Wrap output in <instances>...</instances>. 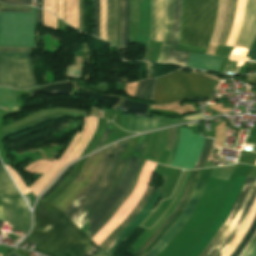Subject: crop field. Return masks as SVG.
<instances>
[{
	"mask_svg": "<svg viewBox=\"0 0 256 256\" xmlns=\"http://www.w3.org/2000/svg\"><path fill=\"white\" fill-rule=\"evenodd\" d=\"M218 0H183L178 44L207 49L216 22Z\"/></svg>",
	"mask_w": 256,
	"mask_h": 256,
	"instance_id": "1",
	"label": "crop field"
},
{
	"mask_svg": "<svg viewBox=\"0 0 256 256\" xmlns=\"http://www.w3.org/2000/svg\"><path fill=\"white\" fill-rule=\"evenodd\" d=\"M93 244L95 243L61 212L54 227L34 251L46 256H82Z\"/></svg>",
	"mask_w": 256,
	"mask_h": 256,
	"instance_id": "2",
	"label": "crop field"
},
{
	"mask_svg": "<svg viewBox=\"0 0 256 256\" xmlns=\"http://www.w3.org/2000/svg\"><path fill=\"white\" fill-rule=\"evenodd\" d=\"M215 83L181 69L158 78L154 103L169 104L189 97L211 96Z\"/></svg>",
	"mask_w": 256,
	"mask_h": 256,
	"instance_id": "3",
	"label": "crop field"
},
{
	"mask_svg": "<svg viewBox=\"0 0 256 256\" xmlns=\"http://www.w3.org/2000/svg\"><path fill=\"white\" fill-rule=\"evenodd\" d=\"M256 198V177H247L225 224L200 256H220L236 235Z\"/></svg>",
	"mask_w": 256,
	"mask_h": 256,
	"instance_id": "4",
	"label": "crop field"
},
{
	"mask_svg": "<svg viewBox=\"0 0 256 256\" xmlns=\"http://www.w3.org/2000/svg\"><path fill=\"white\" fill-rule=\"evenodd\" d=\"M128 142L129 140L120 144L116 143L109 147L91 183L63 212L73 222L76 221L81 213L106 186L115 163ZM103 181H106V183H104L103 186H100Z\"/></svg>",
	"mask_w": 256,
	"mask_h": 256,
	"instance_id": "5",
	"label": "crop field"
},
{
	"mask_svg": "<svg viewBox=\"0 0 256 256\" xmlns=\"http://www.w3.org/2000/svg\"><path fill=\"white\" fill-rule=\"evenodd\" d=\"M35 8L31 13L0 12V46L37 48L34 30Z\"/></svg>",
	"mask_w": 256,
	"mask_h": 256,
	"instance_id": "6",
	"label": "crop field"
},
{
	"mask_svg": "<svg viewBox=\"0 0 256 256\" xmlns=\"http://www.w3.org/2000/svg\"><path fill=\"white\" fill-rule=\"evenodd\" d=\"M148 135L143 134L136 145L125 169L124 172L114 188V190L111 192V194L107 197V199L104 201V203L100 206V208L95 212V214L89 219V221L84 225V227L81 229L83 230L88 236L99 226V224L109 215V213L112 211V209L115 207V205L118 203V201L121 199L123 194L128 189L138 167L140 164L135 163L138 156L142 153L147 140Z\"/></svg>",
	"mask_w": 256,
	"mask_h": 256,
	"instance_id": "7",
	"label": "crop field"
},
{
	"mask_svg": "<svg viewBox=\"0 0 256 256\" xmlns=\"http://www.w3.org/2000/svg\"><path fill=\"white\" fill-rule=\"evenodd\" d=\"M0 85L15 89L35 86L30 53H0Z\"/></svg>",
	"mask_w": 256,
	"mask_h": 256,
	"instance_id": "8",
	"label": "crop field"
},
{
	"mask_svg": "<svg viewBox=\"0 0 256 256\" xmlns=\"http://www.w3.org/2000/svg\"><path fill=\"white\" fill-rule=\"evenodd\" d=\"M0 200L5 211V222L27 232L30 227V211L2 166H0Z\"/></svg>",
	"mask_w": 256,
	"mask_h": 256,
	"instance_id": "9",
	"label": "crop field"
},
{
	"mask_svg": "<svg viewBox=\"0 0 256 256\" xmlns=\"http://www.w3.org/2000/svg\"><path fill=\"white\" fill-rule=\"evenodd\" d=\"M107 149L88 157L78 178L51 204L60 208L62 212L65 208L85 189L95 174L98 165Z\"/></svg>",
	"mask_w": 256,
	"mask_h": 256,
	"instance_id": "10",
	"label": "crop field"
},
{
	"mask_svg": "<svg viewBox=\"0 0 256 256\" xmlns=\"http://www.w3.org/2000/svg\"><path fill=\"white\" fill-rule=\"evenodd\" d=\"M203 141V137L191 134L189 129L181 128L179 147L171 166L193 169L203 146Z\"/></svg>",
	"mask_w": 256,
	"mask_h": 256,
	"instance_id": "11",
	"label": "crop field"
},
{
	"mask_svg": "<svg viewBox=\"0 0 256 256\" xmlns=\"http://www.w3.org/2000/svg\"><path fill=\"white\" fill-rule=\"evenodd\" d=\"M60 210L53 205L38 200L34 210V227L31 234L25 238L19 245L22 246L26 242L39 244L48 231L55 224Z\"/></svg>",
	"mask_w": 256,
	"mask_h": 256,
	"instance_id": "12",
	"label": "crop field"
},
{
	"mask_svg": "<svg viewBox=\"0 0 256 256\" xmlns=\"http://www.w3.org/2000/svg\"><path fill=\"white\" fill-rule=\"evenodd\" d=\"M206 183L198 182L195 190L183 212V214L174 222V224L168 229L161 240L145 255V256H157L162 249L170 242L175 236L178 230L182 227L185 221L193 211Z\"/></svg>",
	"mask_w": 256,
	"mask_h": 256,
	"instance_id": "13",
	"label": "crop field"
},
{
	"mask_svg": "<svg viewBox=\"0 0 256 256\" xmlns=\"http://www.w3.org/2000/svg\"><path fill=\"white\" fill-rule=\"evenodd\" d=\"M156 188L155 192L145 205L142 212L115 238V240L110 244V246L105 250L109 254L113 252L120 246V244L140 225V223L147 218L150 210L155 207L158 202L162 192ZM152 211V210H151Z\"/></svg>",
	"mask_w": 256,
	"mask_h": 256,
	"instance_id": "14",
	"label": "crop field"
},
{
	"mask_svg": "<svg viewBox=\"0 0 256 256\" xmlns=\"http://www.w3.org/2000/svg\"><path fill=\"white\" fill-rule=\"evenodd\" d=\"M128 160L120 159L119 164L105 189L97 196V198L90 204V206L83 212L80 218L75 223L80 229L87 222L90 216L99 208V206L103 203L106 197L113 190L115 185L117 184L121 173L126 165Z\"/></svg>",
	"mask_w": 256,
	"mask_h": 256,
	"instance_id": "15",
	"label": "crop field"
},
{
	"mask_svg": "<svg viewBox=\"0 0 256 256\" xmlns=\"http://www.w3.org/2000/svg\"><path fill=\"white\" fill-rule=\"evenodd\" d=\"M155 187L148 186L141 200L131 214L100 244L101 249H106L114 238L141 212L144 205L152 195Z\"/></svg>",
	"mask_w": 256,
	"mask_h": 256,
	"instance_id": "16",
	"label": "crop field"
},
{
	"mask_svg": "<svg viewBox=\"0 0 256 256\" xmlns=\"http://www.w3.org/2000/svg\"><path fill=\"white\" fill-rule=\"evenodd\" d=\"M223 59L211 55L191 53L186 66L216 71Z\"/></svg>",
	"mask_w": 256,
	"mask_h": 256,
	"instance_id": "17",
	"label": "crop field"
},
{
	"mask_svg": "<svg viewBox=\"0 0 256 256\" xmlns=\"http://www.w3.org/2000/svg\"><path fill=\"white\" fill-rule=\"evenodd\" d=\"M117 0H108L107 9V41L116 46V33H117Z\"/></svg>",
	"mask_w": 256,
	"mask_h": 256,
	"instance_id": "18",
	"label": "crop field"
},
{
	"mask_svg": "<svg viewBox=\"0 0 256 256\" xmlns=\"http://www.w3.org/2000/svg\"><path fill=\"white\" fill-rule=\"evenodd\" d=\"M196 171L197 170L193 171V173H192V175H191V177H190V179H189V181L186 185V188H185V190H184V192H183V194L180 198V201H179L177 207L175 208V210L173 211V213L161 224V226L156 230V232L149 238V240L135 254V256H139L148 247V245L155 239V237L163 230V228L170 222V220L177 214V212H178V210H179V208H180V206H181V204H182V202H183V200L186 196V193H187V191H188V189H189V187H190V185L193 181V178L196 174Z\"/></svg>",
	"mask_w": 256,
	"mask_h": 256,
	"instance_id": "19",
	"label": "crop field"
},
{
	"mask_svg": "<svg viewBox=\"0 0 256 256\" xmlns=\"http://www.w3.org/2000/svg\"><path fill=\"white\" fill-rule=\"evenodd\" d=\"M173 0H165V23L163 42L170 44L172 26Z\"/></svg>",
	"mask_w": 256,
	"mask_h": 256,
	"instance_id": "20",
	"label": "crop field"
},
{
	"mask_svg": "<svg viewBox=\"0 0 256 256\" xmlns=\"http://www.w3.org/2000/svg\"><path fill=\"white\" fill-rule=\"evenodd\" d=\"M122 2L121 47L127 50V25L129 21V0Z\"/></svg>",
	"mask_w": 256,
	"mask_h": 256,
	"instance_id": "21",
	"label": "crop field"
},
{
	"mask_svg": "<svg viewBox=\"0 0 256 256\" xmlns=\"http://www.w3.org/2000/svg\"><path fill=\"white\" fill-rule=\"evenodd\" d=\"M181 1L182 0H175V3H174L173 32H172L171 45H173L175 47L177 46L179 30H180Z\"/></svg>",
	"mask_w": 256,
	"mask_h": 256,
	"instance_id": "22",
	"label": "crop field"
},
{
	"mask_svg": "<svg viewBox=\"0 0 256 256\" xmlns=\"http://www.w3.org/2000/svg\"><path fill=\"white\" fill-rule=\"evenodd\" d=\"M190 53L175 51V48L170 46L165 62L174 63L185 66Z\"/></svg>",
	"mask_w": 256,
	"mask_h": 256,
	"instance_id": "23",
	"label": "crop field"
},
{
	"mask_svg": "<svg viewBox=\"0 0 256 256\" xmlns=\"http://www.w3.org/2000/svg\"><path fill=\"white\" fill-rule=\"evenodd\" d=\"M145 163V160L142 161V164L140 166V168L138 169L136 175H135V178L130 186V188L128 189V191L125 193V195L122 197V199L119 201V203L116 205V207L113 209V211L110 213V215L101 223V225L89 236L90 238H92L105 224L106 222L113 216V214L115 213V211L118 209V207L121 205V203L125 200V198L130 194V192L132 191L139 175H140V172H141V169L143 167ZM134 190V189H133ZM132 193V192H131ZM127 199V198H126Z\"/></svg>",
	"mask_w": 256,
	"mask_h": 256,
	"instance_id": "24",
	"label": "crop field"
},
{
	"mask_svg": "<svg viewBox=\"0 0 256 256\" xmlns=\"http://www.w3.org/2000/svg\"><path fill=\"white\" fill-rule=\"evenodd\" d=\"M255 231H256V217L252 225L250 226V228L248 229V231L246 232V234L244 235V237L242 238V240L240 241V243L238 244V246L235 248V250L232 252L230 256H238L241 253V251L245 248L249 240L252 238Z\"/></svg>",
	"mask_w": 256,
	"mask_h": 256,
	"instance_id": "25",
	"label": "crop field"
},
{
	"mask_svg": "<svg viewBox=\"0 0 256 256\" xmlns=\"http://www.w3.org/2000/svg\"><path fill=\"white\" fill-rule=\"evenodd\" d=\"M15 99L13 90L0 88V106L16 108L13 103Z\"/></svg>",
	"mask_w": 256,
	"mask_h": 256,
	"instance_id": "26",
	"label": "crop field"
},
{
	"mask_svg": "<svg viewBox=\"0 0 256 256\" xmlns=\"http://www.w3.org/2000/svg\"><path fill=\"white\" fill-rule=\"evenodd\" d=\"M75 164V163H74ZM71 165L70 167L74 166ZM69 167V168H70ZM69 168H67L62 175L57 179V181L42 195L41 199L45 198L47 195H49L50 193H52L54 190L57 189V187L59 186V184L63 181V179L67 176V173L69 172Z\"/></svg>",
	"mask_w": 256,
	"mask_h": 256,
	"instance_id": "27",
	"label": "crop field"
},
{
	"mask_svg": "<svg viewBox=\"0 0 256 256\" xmlns=\"http://www.w3.org/2000/svg\"><path fill=\"white\" fill-rule=\"evenodd\" d=\"M99 18H100V10H99V0H95V20H94V35L99 37Z\"/></svg>",
	"mask_w": 256,
	"mask_h": 256,
	"instance_id": "28",
	"label": "crop field"
},
{
	"mask_svg": "<svg viewBox=\"0 0 256 256\" xmlns=\"http://www.w3.org/2000/svg\"><path fill=\"white\" fill-rule=\"evenodd\" d=\"M111 125H112V122L107 120L105 131H104L99 143L97 144V146L95 147V149L93 151L101 148V146L103 145L104 141L106 140V138L108 137V135L110 133Z\"/></svg>",
	"mask_w": 256,
	"mask_h": 256,
	"instance_id": "29",
	"label": "crop field"
},
{
	"mask_svg": "<svg viewBox=\"0 0 256 256\" xmlns=\"http://www.w3.org/2000/svg\"><path fill=\"white\" fill-rule=\"evenodd\" d=\"M0 52H31V47H0Z\"/></svg>",
	"mask_w": 256,
	"mask_h": 256,
	"instance_id": "30",
	"label": "crop field"
},
{
	"mask_svg": "<svg viewBox=\"0 0 256 256\" xmlns=\"http://www.w3.org/2000/svg\"><path fill=\"white\" fill-rule=\"evenodd\" d=\"M155 20H156V0H152V21H151V35H150V39H154Z\"/></svg>",
	"mask_w": 256,
	"mask_h": 256,
	"instance_id": "31",
	"label": "crop field"
},
{
	"mask_svg": "<svg viewBox=\"0 0 256 256\" xmlns=\"http://www.w3.org/2000/svg\"><path fill=\"white\" fill-rule=\"evenodd\" d=\"M179 137H180V127H176V136H175V142H174V146H173V150H172V153L169 157V160L167 162V165H171V162H172V159L174 157V154H175V151L178 147V143H179Z\"/></svg>",
	"mask_w": 256,
	"mask_h": 256,
	"instance_id": "32",
	"label": "crop field"
},
{
	"mask_svg": "<svg viewBox=\"0 0 256 256\" xmlns=\"http://www.w3.org/2000/svg\"><path fill=\"white\" fill-rule=\"evenodd\" d=\"M152 82H153V79H147L145 91H144L143 96L141 98L142 100H146V101L149 100L150 92H151V88H152Z\"/></svg>",
	"mask_w": 256,
	"mask_h": 256,
	"instance_id": "33",
	"label": "crop field"
},
{
	"mask_svg": "<svg viewBox=\"0 0 256 256\" xmlns=\"http://www.w3.org/2000/svg\"><path fill=\"white\" fill-rule=\"evenodd\" d=\"M256 244V233L253 236V238L251 239V241L248 243V245L246 246V248L244 249V251L241 253L240 256H248L249 253L252 251V249L254 248Z\"/></svg>",
	"mask_w": 256,
	"mask_h": 256,
	"instance_id": "34",
	"label": "crop field"
},
{
	"mask_svg": "<svg viewBox=\"0 0 256 256\" xmlns=\"http://www.w3.org/2000/svg\"><path fill=\"white\" fill-rule=\"evenodd\" d=\"M246 56L251 57L250 60L256 61V37L253 40Z\"/></svg>",
	"mask_w": 256,
	"mask_h": 256,
	"instance_id": "35",
	"label": "crop field"
},
{
	"mask_svg": "<svg viewBox=\"0 0 256 256\" xmlns=\"http://www.w3.org/2000/svg\"><path fill=\"white\" fill-rule=\"evenodd\" d=\"M175 127L169 129V139L165 149L171 150L174 142Z\"/></svg>",
	"mask_w": 256,
	"mask_h": 256,
	"instance_id": "36",
	"label": "crop field"
},
{
	"mask_svg": "<svg viewBox=\"0 0 256 256\" xmlns=\"http://www.w3.org/2000/svg\"><path fill=\"white\" fill-rule=\"evenodd\" d=\"M145 81H146V79L139 81L137 91H136V94L134 96L135 98H138V99L141 98L143 90H144V86H145Z\"/></svg>",
	"mask_w": 256,
	"mask_h": 256,
	"instance_id": "37",
	"label": "crop field"
},
{
	"mask_svg": "<svg viewBox=\"0 0 256 256\" xmlns=\"http://www.w3.org/2000/svg\"><path fill=\"white\" fill-rule=\"evenodd\" d=\"M118 4H119V18H118L117 46L120 47V20H121V3H120V0H118Z\"/></svg>",
	"mask_w": 256,
	"mask_h": 256,
	"instance_id": "38",
	"label": "crop field"
},
{
	"mask_svg": "<svg viewBox=\"0 0 256 256\" xmlns=\"http://www.w3.org/2000/svg\"><path fill=\"white\" fill-rule=\"evenodd\" d=\"M10 4H31V0H0Z\"/></svg>",
	"mask_w": 256,
	"mask_h": 256,
	"instance_id": "39",
	"label": "crop field"
},
{
	"mask_svg": "<svg viewBox=\"0 0 256 256\" xmlns=\"http://www.w3.org/2000/svg\"><path fill=\"white\" fill-rule=\"evenodd\" d=\"M168 48H169L168 45H164L163 44L162 50H161V54L159 56V60L158 61H161V62L165 61V58H166V55H167V52H168Z\"/></svg>",
	"mask_w": 256,
	"mask_h": 256,
	"instance_id": "40",
	"label": "crop field"
},
{
	"mask_svg": "<svg viewBox=\"0 0 256 256\" xmlns=\"http://www.w3.org/2000/svg\"><path fill=\"white\" fill-rule=\"evenodd\" d=\"M208 143H209V139L206 138L204 147H203V149H202V151L200 153V156L198 158V161H197L196 166H195L194 169H196L198 167V165H199V163H200V161H201V159H202V157H203V155H204V153H205V151H206V149L208 147Z\"/></svg>",
	"mask_w": 256,
	"mask_h": 256,
	"instance_id": "41",
	"label": "crop field"
},
{
	"mask_svg": "<svg viewBox=\"0 0 256 256\" xmlns=\"http://www.w3.org/2000/svg\"><path fill=\"white\" fill-rule=\"evenodd\" d=\"M203 118L202 112L184 116L183 119L197 120Z\"/></svg>",
	"mask_w": 256,
	"mask_h": 256,
	"instance_id": "42",
	"label": "crop field"
},
{
	"mask_svg": "<svg viewBox=\"0 0 256 256\" xmlns=\"http://www.w3.org/2000/svg\"><path fill=\"white\" fill-rule=\"evenodd\" d=\"M100 248L95 244L83 256H93Z\"/></svg>",
	"mask_w": 256,
	"mask_h": 256,
	"instance_id": "43",
	"label": "crop field"
},
{
	"mask_svg": "<svg viewBox=\"0 0 256 256\" xmlns=\"http://www.w3.org/2000/svg\"><path fill=\"white\" fill-rule=\"evenodd\" d=\"M212 142H213V139H210L209 147H208V149H207V151H206V154H205V156H204V158H203V160H202V162H201L199 168H201V167L204 166V164H205V162H206V160H207V157H208V155H209L210 149H211V147H212Z\"/></svg>",
	"mask_w": 256,
	"mask_h": 256,
	"instance_id": "44",
	"label": "crop field"
},
{
	"mask_svg": "<svg viewBox=\"0 0 256 256\" xmlns=\"http://www.w3.org/2000/svg\"><path fill=\"white\" fill-rule=\"evenodd\" d=\"M0 8H20V9H30V6H8L1 3Z\"/></svg>",
	"mask_w": 256,
	"mask_h": 256,
	"instance_id": "45",
	"label": "crop field"
},
{
	"mask_svg": "<svg viewBox=\"0 0 256 256\" xmlns=\"http://www.w3.org/2000/svg\"><path fill=\"white\" fill-rule=\"evenodd\" d=\"M36 21L42 24V10L36 8Z\"/></svg>",
	"mask_w": 256,
	"mask_h": 256,
	"instance_id": "46",
	"label": "crop field"
},
{
	"mask_svg": "<svg viewBox=\"0 0 256 256\" xmlns=\"http://www.w3.org/2000/svg\"><path fill=\"white\" fill-rule=\"evenodd\" d=\"M79 11H80V28L82 30V7H81V0H79Z\"/></svg>",
	"mask_w": 256,
	"mask_h": 256,
	"instance_id": "47",
	"label": "crop field"
},
{
	"mask_svg": "<svg viewBox=\"0 0 256 256\" xmlns=\"http://www.w3.org/2000/svg\"><path fill=\"white\" fill-rule=\"evenodd\" d=\"M94 256H111L105 252H103V250H99Z\"/></svg>",
	"mask_w": 256,
	"mask_h": 256,
	"instance_id": "48",
	"label": "crop field"
},
{
	"mask_svg": "<svg viewBox=\"0 0 256 256\" xmlns=\"http://www.w3.org/2000/svg\"><path fill=\"white\" fill-rule=\"evenodd\" d=\"M156 80H157V78H154L152 93H151V97H150L151 100L153 99V96H154L155 86H156Z\"/></svg>",
	"mask_w": 256,
	"mask_h": 256,
	"instance_id": "49",
	"label": "crop field"
},
{
	"mask_svg": "<svg viewBox=\"0 0 256 256\" xmlns=\"http://www.w3.org/2000/svg\"><path fill=\"white\" fill-rule=\"evenodd\" d=\"M0 11H22V12H30V10H19V9H0Z\"/></svg>",
	"mask_w": 256,
	"mask_h": 256,
	"instance_id": "50",
	"label": "crop field"
},
{
	"mask_svg": "<svg viewBox=\"0 0 256 256\" xmlns=\"http://www.w3.org/2000/svg\"><path fill=\"white\" fill-rule=\"evenodd\" d=\"M36 6L42 8V0H37Z\"/></svg>",
	"mask_w": 256,
	"mask_h": 256,
	"instance_id": "51",
	"label": "crop field"
},
{
	"mask_svg": "<svg viewBox=\"0 0 256 256\" xmlns=\"http://www.w3.org/2000/svg\"><path fill=\"white\" fill-rule=\"evenodd\" d=\"M249 256H256V246H255V248L253 249V251L250 253Z\"/></svg>",
	"mask_w": 256,
	"mask_h": 256,
	"instance_id": "52",
	"label": "crop field"
},
{
	"mask_svg": "<svg viewBox=\"0 0 256 256\" xmlns=\"http://www.w3.org/2000/svg\"><path fill=\"white\" fill-rule=\"evenodd\" d=\"M2 224H3V221H0V228H1Z\"/></svg>",
	"mask_w": 256,
	"mask_h": 256,
	"instance_id": "53",
	"label": "crop field"
}]
</instances>
